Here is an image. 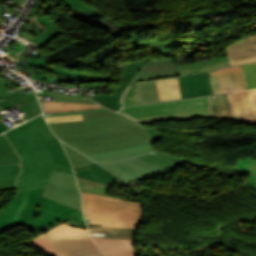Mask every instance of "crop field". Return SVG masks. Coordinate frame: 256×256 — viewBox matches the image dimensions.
<instances>
[{
	"mask_svg": "<svg viewBox=\"0 0 256 256\" xmlns=\"http://www.w3.org/2000/svg\"><path fill=\"white\" fill-rule=\"evenodd\" d=\"M208 73L213 94L248 89L243 64Z\"/></svg>",
	"mask_w": 256,
	"mask_h": 256,
	"instance_id": "obj_12",
	"label": "crop field"
},
{
	"mask_svg": "<svg viewBox=\"0 0 256 256\" xmlns=\"http://www.w3.org/2000/svg\"><path fill=\"white\" fill-rule=\"evenodd\" d=\"M76 176L106 183L108 185L114 184L116 176L110 174L104 168L97 164H92L87 168L74 170Z\"/></svg>",
	"mask_w": 256,
	"mask_h": 256,
	"instance_id": "obj_19",
	"label": "crop field"
},
{
	"mask_svg": "<svg viewBox=\"0 0 256 256\" xmlns=\"http://www.w3.org/2000/svg\"><path fill=\"white\" fill-rule=\"evenodd\" d=\"M16 41V40H15ZM11 45V47L13 48V49H15L18 53L17 54H15V56H16V58H17V56L20 54V52L23 50V48L26 46V45H24V44H22V43H20V42H18V41H16V42H14V43H12V44H10Z\"/></svg>",
	"mask_w": 256,
	"mask_h": 256,
	"instance_id": "obj_44",
	"label": "crop field"
},
{
	"mask_svg": "<svg viewBox=\"0 0 256 256\" xmlns=\"http://www.w3.org/2000/svg\"><path fill=\"white\" fill-rule=\"evenodd\" d=\"M99 164L127 182L132 178H137L141 181L171 171V169L150 163L138 157L120 161L101 162Z\"/></svg>",
	"mask_w": 256,
	"mask_h": 256,
	"instance_id": "obj_8",
	"label": "crop field"
},
{
	"mask_svg": "<svg viewBox=\"0 0 256 256\" xmlns=\"http://www.w3.org/2000/svg\"><path fill=\"white\" fill-rule=\"evenodd\" d=\"M121 103L124 106L139 104L135 84H131L123 94Z\"/></svg>",
	"mask_w": 256,
	"mask_h": 256,
	"instance_id": "obj_35",
	"label": "crop field"
},
{
	"mask_svg": "<svg viewBox=\"0 0 256 256\" xmlns=\"http://www.w3.org/2000/svg\"><path fill=\"white\" fill-rule=\"evenodd\" d=\"M232 116L253 114L248 90L227 94Z\"/></svg>",
	"mask_w": 256,
	"mask_h": 256,
	"instance_id": "obj_18",
	"label": "crop field"
},
{
	"mask_svg": "<svg viewBox=\"0 0 256 256\" xmlns=\"http://www.w3.org/2000/svg\"><path fill=\"white\" fill-rule=\"evenodd\" d=\"M62 144H63L71 162H72L73 169L87 167L88 165L94 163L91 160L84 157L82 154H80L75 149L66 145L65 143L62 142Z\"/></svg>",
	"mask_w": 256,
	"mask_h": 256,
	"instance_id": "obj_32",
	"label": "crop field"
},
{
	"mask_svg": "<svg viewBox=\"0 0 256 256\" xmlns=\"http://www.w3.org/2000/svg\"><path fill=\"white\" fill-rule=\"evenodd\" d=\"M4 232L1 228H0V233Z\"/></svg>",
	"mask_w": 256,
	"mask_h": 256,
	"instance_id": "obj_51",
	"label": "crop field"
},
{
	"mask_svg": "<svg viewBox=\"0 0 256 256\" xmlns=\"http://www.w3.org/2000/svg\"><path fill=\"white\" fill-rule=\"evenodd\" d=\"M249 92H250V98H251L253 112H254V114H256V89L249 90Z\"/></svg>",
	"mask_w": 256,
	"mask_h": 256,
	"instance_id": "obj_43",
	"label": "crop field"
},
{
	"mask_svg": "<svg viewBox=\"0 0 256 256\" xmlns=\"http://www.w3.org/2000/svg\"><path fill=\"white\" fill-rule=\"evenodd\" d=\"M138 157H141L150 162H153V163H156V164H159V165L171 168V169L176 168L180 163H182L184 161L183 159H181L179 157L160 153V152H151L149 154L141 155Z\"/></svg>",
	"mask_w": 256,
	"mask_h": 256,
	"instance_id": "obj_24",
	"label": "crop field"
},
{
	"mask_svg": "<svg viewBox=\"0 0 256 256\" xmlns=\"http://www.w3.org/2000/svg\"><path fill=\"white\" fill-rule=\"evenodd\" d=\"M83 210L88 226L137 227L141 203L117 198L82 194Z\"/></svg>",
	"mask_w": 256,
	"mask_h": 256,
	"instance_id": "obj_4",
	"label": "crop field"
},
{
	"mask_svg": "<svg viewBox=\"0 0 256 256\" xmlns=\"http://www.w3.org/2000/svg\"><path fill=\"white\" fill-rule=\"evenodd\" d=\"M237 123H252L256 124V115L236 117Z\"/></svg>",
	"mask_w": 256,
	"mask_h": 256,
	"instance_id": "obj_42",
	"label": "crop field"
},
{
	"mask_svg": "<svg viewBox=\"0 0 256 256\" xmlns=\"http://www.w3.org/2000/svg\"><path fill=\"white\" fill-rule=\"evenodd\" d=\"M5 82L0 79V95L5 94L7 92V89L4 87Z\"/></svg>",
	"mask_w": 256,
	"mask_h": 256,
	"instance_id": "obj_47",
	"label": "crop field"
},
{
	"mask_svg": "<svg viewBox=\"0 0 256 256\" xmlns=\"http://www.w3.org/2000/svg\"><path fill=\"white\" fill-rule=\"evenodd\" d=\"M149 133L152 135L154 141L161 140L162 136L158 130H149Z\"/></svg>",
	"mask_w": 256,
	"mask_h": 256,
	"instance_id": "obj_45",
	"label": "crop field"
},
{
	"mask_svg": "<svg viewBox=\"0 0 256 256\" xmlns=\"http://www.w3.org/2000/svg\"><path fill=\"white\" fill-rule=\"evenodd\" d=\"M120 113L136 122L212 117L208 96L126 107Z\"/></svg>",
	"mask_w": 256,
	"mask_h": 256,
	"instance_id": "obj_6",
	"label": "crop field"
},
{
	"mask_svg": "<svg viewBox=\"0 0 256 256\" xmlns=\"http://www.w3.org/2000/svg\"><path fill=\"white\" fill-rule=\"evenodd\" d=\"M145 62L146 61L119 65L121 85L116 87L117 94L92 96L90 98H92L93 100L99 102L100 104L112 110H118L121 107L120 101H119L121 94L126 89V87L130 83V81L133 79V77L136 75L139 68Z\"/></svg>",
	"mask_w": 256,
	"mask_h": 256,
	"instance_id": "obj_13",
	"label": "crop field"
},
{
	"mask_svg": "<svg viewBox=\"0 0 256 256\" xmlns=\"http://www.w3.org/2000/svg\"><path fill=\"white\" fill-rule=\"evenodd\" d=\"M249 89L256 88V62L244 64Z\"/></svg>",
	"mask_w": 256,
	"mask_h": 256,
	"instance_id": "obj_36",
	"label": "crop field"
},
{
	"mask_svg": "<svg viewBox=\"0 0 256 256\" xmlns=\"http://www.w3.org/2000/svg\"><path fill=\"white\" fill-rule=\"evenodd\" d=\"M41 13L44 16L38 17L36 19L39 21V23L43 22L44 24H46L49 27V29L34 40L39 45H41V44L45 45V44L49 43L51 40H53L54 38L60 36L61 34L65 33V32H63L60 28H58L52 22L51 18L46 17V15L43 13V11H41Z\"/></svg>",
	"mask_w": 256,
	"mask_h": 256,
	"instance_id": "obj_25",
	"label": "crop field"
},
{
	"mask_svg": "<svg viewBox=\"0 0 256 256\" xmlns=\"http://www.w3.org/2000/svg\"><path fill=\"white\" fill-rule=\"evenodd\" d=\"M226 53L232 65L256 61V35L228 45Z\"/></svg>",
	"mask_w": 256,
	"mask_h": 256,
	"instance_id": "obj_14",
	"label": "crop field"
},
{
	"mask_svg": "<svg viewBox=\"0 0 256 256\" xmlns=\"http://www.w3.org/2000/svg\"><path fill=\"white\" fill-rule=\"evenodd\" d=\"M177 75H180L178 70L162 72V73H155V74H148V75H140V76H136V78L134 79V81L132 83L142 81V80L155 79V78H161V77H169V76H177Z\"/></svg>",
	"mask_w": 256,
	"mask_h": 256,
	"instance_id": "obj_37",
	"label": "crop field"
},
{
	"mask_svg": "<svg viewBox=\"0 0 256 256\" xmlns=\"http://www.w3.org/2000/svg\"><path fill=\"white\" fill-rule=\"evenodd\" d=\"M19 159V160H18ZM20 164V158L4 134L0 135V166Z\"/></svg>",
	"mask_w": 256,
	"mask_h": 256,
	"instance_id": "obj_23",
	"label": "crop field"
},
{
	"mask_svg": "<svg viewBox=\"0 0 256 256\" xmlns=\"http://www.w3.org/2000/svg\"><path fill=\"white\" fill-rule=\"evenodd\" d=\"M160 101L181 98L178 78L155 81Z\"/></svg>",
	"mask_w": 256,
	"mask_h": 256,
	"instance_id": "obj_20",
	"label": "crop field"
},
{
	"mask_svg": "<svg viewBox=\"0 0 256 256\" xmlns=\"http://www.w3.org/2000/svg\"><path fill=\"white\" fill-rule=\"evenodd\" d=\"M78 188L81 192L107 196L108 185L77 178Z\"/></svg>",
	"mask_w": 256,
	"mask_h": 256,
	"instance_id": "obj_30",
	"label": "crop field"
},
{
	"mask_svg": "<svg viewBox=\"0 0 256 256\" xmlns=\"http://www.w3.org/2000/svg\"><path fill=\"white\" fill-rule=\"evenodd\" d=\"M85 21L90 24L101 26L103 28H105L106 24L114 27L115 29V34L113 35L114 38L118 37L122 33L123 29H126L128 27V26L124 27L123 25L114 22L110 18H96V19H88Z\"/></svg>",
	"mask_w": 256,
	"mask_h": 256,
	"instance_id": "obj_33",
	"label": "crop field"
},
{
	"mask_svg": "<svg viewBox=\"0 0 256 256\" xmlns=\"http://www.w3.org/2000/svg\"><path fill=\"white\" fill-rule=\"evenodd\" d=\"M79 119H83L82 115L46 118L48 123L61 122V121H70V120H79Z\"/></svg>",
	"mask_w": 256,
	"mask_h": 256,
	"instance_id": "obj_40",
	"label": "crop field"
},
{
	"mask_svg": "<svg viewBox=\"0 0 256 256\" xmlns=\"http://www.w3.org/2000/svg\"><path fill=\"white\" fill-rule=\"evenodd\" d=\"M103 110H108V109L100 108V109L85 110V111H72V112L48 113V114H44V115H45V117L63 116V115H76V114H85V113H91V112H97V111H103Z\"/></svg>",
	"mask_w": 256,
	"mask_h": 256,
	"instance_id": "obj_39",
	"label": "crop field"
},
{
	"mask_svg": "<svg viewBox=\"0 0 256 256\" xmlns=\"http://www.w3.org/2000/svg\"><path fill=\"white\" fill-rule=\"evenodd\" d=\"M30 88L31 86L0 96V111L12 108L13 106L17 105L25 114L22 115L24 120H28L40 114L42 110L36 100L34 92L26 95H24L22 92ZM17 121L21 123L23 122L21 117H16L8 121L0 113V133L5 132L6 130L16 126L17 124L15 122Z\"/></svg>",
	"mask_w": 256,
	"mask_h": 256,
	"instance_id": "obj_9",
	"label": "crop field"
},
{
	"mask_svg": "<svg viewBox=\"0 0 256 256\" xmlns=\"http://www.w3.org/2000/svg\"><path fill=\"white\" fill-rule=\"evenodd\" d=\"M136 85L140 104L159 101L154 81Z\"/></svg>",
	"mask_w": 256,
	"mask_h": 256,
	"instance_id": "obj_29",
	"label": "crop field"
},
{
	"mask_svg": "<svg viewBox=\"0 0 256 256\" xmlns=\"http://www.w3.org/2000/svg\"><path fill=\"white\" fill-rule=\"evenodd\" d=\"M42 196L81 210V195L73 174L55 170Z\"/></svg>",
	"mask_w": 256,
	"mask_h": 256,
	"instance_id": "obj_10",
	"label": "crop field"
},
{
	"mask_svg": "<svg viewBox=\"0 0 256 256\" xmlns=\"http://www.w3.org/2000/svg\"><path fill=\"white\" fill-rule=\"evenodd\" d=\"M39 119L42 121V123L44 124V126L47 128V130L49 131V133L51 134V136L54 138L55 141L50 142V143H46V146L54 160V162L56 163H60V164H64L67 166H71L66 154L63 150V147L60 143V141L57 139V137L51 132V130L49 129V127L47 126L44 118L42 115L38 116ZM51 143H53V145H51ZM72 167V166H71Z\"/></svg>",
	"mask_w": 256,
	"mask_h": 256,
	"instance_id": "obj_22",
	"label": "crop field"
},
{
	"mask_svg": "<svg viewBox=\"0 0 256 256\" xmlns=\"http://www.w3.org/2000/svg\"><path fill=\"white\" fill-rule=\"evenodd\" d=\"M42 68L46 69L50 73L45 75V73H40V70L35 69L33 71H36L37 73L31 78L32 80L51 83L53 80L59 81L65 79L67 83L76 85L87 83L91 88L108 87L107 82L112 80V76L85 75V72H73L68 69L56 68L51 65H46Z\"/></svg>",
	"mask_w": 256,
	"mask_h": 256,
	"instance_id": "obj_11",
	"label": "crop field"
},
{
	"mask_svg": "<svg viewBox=\"0 0 256 256\" xmlns=\"http://www.w3.org/2000/svg\"><path fill=\"white\" fill-rule=\"evenodd\" d=\"M235 168H239L256 174V160L250 158H247L246 161L238 159Z\"/></svg>",
	"mask_w": 256,
	"mask_h": 256,
	"instance_id": "obj_38",
	"label": "crop field"
},
{
	"mask_svg": "<svg viewBox=\"0 0 256 256\" xmlns=\"http://www.w3.org/2000/svg\"><path fill=\"white\" fill-rule=\"evenodd\" d=\"M209 98L214 118L231 116L226 94L216 95V98H213L212 95Z\"/></svg>",
	"mask_w": 256,
	"mask_h": 256,
	"instance_id": "obj_27",
	"label": "crop field"
},
{
	"mask_svg": "<svg viewBox=\"0 0 256 256\" xmlns=\"http://www.w3.org/2000/svg\"><path fill=\"white\" fill-rule=\"evenodd\" d=\"M83 117L49 125L59 139L84 155L153 143L147 130L112 110Z\"/></svg>",
	"mask_w": 256,
	"mask_h": 256,
	"instance_id": "obj_1",
	"label": "crop field"
},
{
	"mask_svg": "<svg viewBox=\"0 0 256 256\" xmlns=\"http://www.w3.org/2000/svg\"><path fill=\"white\" fill-rule=\"evenodd\" d=\"M3 18H5V16L0 15V21H1Z\"/></svg>",
	"mask_w": 256,
	"mask_h": 256,
	"instance_id": "obj_49",
	"label": "crop field"
},
{
	"mask_svg": "<svg viewBox=\"0 0 256 256\" xmlns=\"http://www.w3.org/2000/svg\"><path fill=\"white\" fill-rule=\"evenodd\" d=\"M249 185L256 189V175H251L249 178Z\"/></svg>",
	"mask_w": 256,
	"mask_h": 256,
	"instance_id": "obj_46",
	"label": "crop field"
},
{
	"mask_svg": "<svg viewBox=\"0 0 256 256\" xmlns=\"http://www.w3.org/2000/svg\"><path fill=\"white\" fill-rule=\"evenodd\" d=\"M44 113L58 112V111H71V110H85L100 108L96 104H74V103H60L52 101H40Z\"/></svg>",
	"mask_w": 256,
	"mask_h": 256,
	"instance_id": "obj_21",
	"label": "crop field"
},
{
	"mask_svg": "<svg viewBox=\"0 0 256 256\" xmlns=\"http://www.w3.org/2000/svg\"><path fill=\"white\" fill-rule=\"evenodd\" d=\"M91 237L106 256H135L137 228L89 227Z\"/></svg>",
	"mask_w": 256,
	"mask_h": 256,
	"instance_id": "obj_7",
	"label": "crop field"
},
{
	"mask_svg": "<svg viewBox=\"0 0 256 256\" xmlns=\"http://www.w3.org/2000/svg\"><path fill=\"white\" fill-rule=\"evenodd\" d=\"M27 60H28L29 66L38 67V66H42V65H46L47 64L45 57H43V58H36V59H31V57H27Z\"/></svg>",
	"mask_w": 256,
	"mask_h": 256,
	"instance_id": "obj_41",
	"label": "crop field"
},
{
	"mask_svg": "<svg viewBox=\"0 0 256 256\" xmlns=\"http://www.w3.org/2000/svg\"><path fill=\"white\" fill-rule=\"evenodd\" d=\"M0 14H2V13H0ZM3 15V14H2Z\"/></svg>",
	"mask_w": 256,
	"mask_h": 256,
	"instance_id": "obj_52",
	"label": "crop field"
},
{
	"mask_svg": "<svg viewBox=\"0 0 256 256\" xmlns=\"http://www.w3.org/2000/svg\"><path fill=\"white\" fill-rule=\"evenodd\" d=\"M9 84H11V81H9V82L6 83V85H9Z\"/></svg>",
	"mask_w": 256,
	"mask_h": 256,
	"instance_id": "obj_50",
	"label": "crop field"
},
{
	"mask_svg": "<svg viewBox=\"0 0 256 256\" xmlns=\"http://www.w3.org/2000/svg\"><path fill=\"white\" fill-rule=\"evenodd\" d=\"M5 134L22 159L23 171L13 189L45 187L54 169L73 173L71 167L53 162L44 144L53 138L38 117Z\"/></svg>",
	"mask_w": 256,
	"mask_h": 256,
	"instance_id": "obj_2",
	"label": "crop field"
},
{
	"mask_svg": "<svg viewBox=\"0 0 256 256\" xmlns=\"http://www.w3.org/2000/svg\"><path fill=\"white\" fill-rule=\"evenodd\" d=\"M174 69H177V68L172 58L156 59V60L148 61V63L143 66L142 70L138 73V75L162 72V71H168V70H174Z\"/></svg>",
	"mask_w": 256,
	"mask_h": 256,
	"instance_id": "obj_26",
	"label": "crop field"
},
{
	"mask_svg": "<svg viewBox=\"0 0 256 256\" xmlns=\"http://www.w3.org/2000/svg\"><path fill=\"white\" fill-rule=\"evenodd\" d=\"M43 190H20L0 212V227L22 224L39 235L67 220L85 224L81 211L40 196Z\"/></svg>",
	"mask_w": 256,
	"mask_h": 256,
	"instance_id": "obj_3",
	"label": "crop field"
},
{
	"mask_svg": "<svg viewBox=\"0 0 256 256\" xmlns=\"http://www.w3.org/2000/svg\"><path fill=\"white\" fill-rule=\"evenodd\" d=\"M179 81L182 98L212 94L207 72L180 77Z\"/></svg>",
	"mask_w": 256,
	"mask_h": 256,
	"instance_id": "obj_15",
	"label": "crop field"
},
{
	"mask_svg": "<svg viewBox=\"0 0 256 256\" xmlns=\"http://www.w3.org/2000/svg\"><path fill=\"white\" fill-rule=\"evenodd\" d=\"M47 94L44 93H37V95H44V96H55L54 101H60V102H74V103H95L90 99L86 98H78L70 95H64V94H59V93H54V92H49L46 91Z\"/></svg>",
	"mask_w": 256,
	"mask_h": 256,
	"instance_id": "obj_34",
	"label": "crop field"
},
{
	"mask_svg": "<svg viewBox=\"0 0 256 256\" xmlns=\"http://www.w3.org/2000/svg\"><path fill=\"white\" fill-rule=\"evenodd\" d=\"M8 10H9L8 8H6L5 6L0 4V12H2V13L7 12L8 13L9 12Z\"/></svg>",
	"mask_w": 256,
	"mask_h": 256,
	"instance_id": "obj_48",
	"label": "crop field"
},
{
	"mask_svg": "<svg viewBox=\"0 0 256 256\" xmlns=\"http://www.w3.org/2000/svg\"><path fill=\"white\" fill-rule=\"evenodd\" d=\"M154 150L152 144L122 150H116L111 152L99 153L94 155H88V157L92 158L95 161H107V160H116L129 158L133 156H137L140 154H144Z\"/></svg>",
	"mask_w": 256,
	"mask_h": 256,
	"instance_id": "obj_17",
	"label": "crop field"
},
{
	"mask_svg": "<svg viewBox=\"0 0 256 256\" xmlns=\"http://www.w3.org/2000/svg\"><path fill=\"white\" fill-rule=\"evenodd\" d=\"M30 242L48 256H104L87 229L71 227L66 224L45 232Z\"/></svg>",
	"mask_w": 256,
	"mask_h": 256,
	"instance_id": "obj_5",
	"label": "crop field"
},
{
	"mask_svg": "<svg viewBox=\"0 0 256 256\" xmlns=\"http://www.w3.org/2000/svg\"><path fill=\"white\" fill-rule=\"evenodd\" d=\"M231 65L227 56L217 59L205 60L193 62L185 65H178L177 68L182 75L204 71V70H213L225 66Z\"/></svg>",
	"mask_w": 256,
	"mask_h": 256,
	"instance_id": "obj_16",
	"label": "crop field"
},
{
	"mask_svg": "<svg viewBox=\"0 0 256 256\" xmlns=\"http://www.w3.org/2000/svg\"><path fill=\"white\" fill-rule=\"evenodd\" d=\"M20 169V165L0 167V189L12 188Z\"/></svg>",
	"mask_w": 256,
	"mask_h": 256,
	"instance_id": "obj_28",
	"label": "crop field"
},
{
	"mask_svg": "<svg viewBox=\"0 0 256 256\" xmlns=\"http://www.w3.org/2000/svg\"><path fill=\"white\" fill-rule=\"evenodd\" d=\"M40 7L46 14H50V8L52 6V2L49 0H39ZM64 7L66 10L72 11H92L93 9L89 8L85 5L81 0H63Z\"/></svg>",
	"mask_w": 256,
	"mask_h": 256,
	"instance_id": "obj_31",
	"label": "crop field"
}]
</instances>
